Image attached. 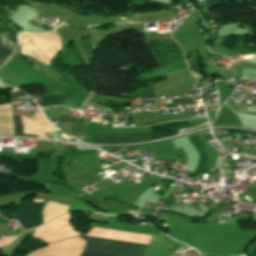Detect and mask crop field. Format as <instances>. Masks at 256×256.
Masks as SVG:
<instances>
[{"instance_id": "f4fd0767", "label": "crop field", "mask_w": 256, "mask_h": 256, "mask_svg": "<svg viewBox=\"0 0 256 256\" xmlns=\"http://www.w3.org/2000/svg\"><path fill=\"white\" fill-rule=\"evenodd\" d=\"M181 127H191L188 120L165 123L156 126H150V130L155 139L170 136L176 133V130Z\"/></svg>"}, {"instance_id": "5a996713", "label": "crop field", "mask_w": 256, "mask_h": 256, "mask_svg": "<svg viewBox=\"0 0 256 256\" xmlns=\"http://www.w3.org/2000/svg\"><path fill=\"white\" fill-rule=\"evenodd\" d=\"M66 96L63 95H51L42 96L43 102H37L41 107L52 106V105H62Z\"/></svg>"}, {"instance_id": "ac0d7876", "label": "crop field", "mask_w": 256, "mask_h": 256, "mask_svg": "<svg viewBox=\"0 0 256 256\" xmlns=\"http://www.w3.org/2000/svg\"><path fill=\"white\" fill-rule=\"evenodd\" d=\"M33 202L34 203L16 205L18 211H0V215L9 220L17 219V221L23 226L24 230L37 227L41 224L40 211L44 202Z\"/></svg>"}, {"instance_id": "d8731c3e", "label": "crop field", "mask_w": 256, "mask_h": 256, "mask_svg": "<svg viewBox=\"0 0 256 256\" xmlns=\"http://www.w3.org/2000/svg\"><path fill=\"white\" fill-rule=\"evenodd\" d=\"M81 256H118V255L108 252L106 249H104L103 247L97 244L87 242L85 250Z\"/></svg>"}, {"instance_id": "22f410ed", "label": "crop field", "mask_w": 256, "mask_h": 256, "mask_svg": "<svg viewBox=\"0 0 256 256\" xmlns=\"http://www.w3.org/2000/svg\"><path fill=\"white\" fill-rule=\"evenodd\" d=\"M7 222L9 221L0 216V223H7Z\"/></svg>"}, {"instance_id": "8a807250", "label": "crop field", "mask_w": 256, "mask_h": 256, "mask_svg": "<svg viewBox=\"0 0 256 256\" xmlns=\"http://www.w3.org/2000/svg\"><path fill=\"white\" fill-rule=\"evenodd\" d=\"M146 44L161 67L184 59L182 50L177 45L176 41L147 40ZM187 67L185 60H182L149 73L137 75L138 77L134 78V80L144 81Z\"/></svg>"}, {"instance_id": "cbeb9de0", "label": "crop field", "mask_w": 256, "mask_h": 256, "mask_svg": "<svg viewBox=\"0 0 256 256\" xmlns=\"http://www.w3.org/2000/svg\"><path fill=\"white\" fill-rule=\"evenodd\" d=\"M90 102H94V103H97V104H102V105H106L105 103H101V102H97V101H93L91 99H89Z\"/></svg>"}, {"instance_id": "34b2d1b8", "label": "crop field", "mask_w": 256, "mask_h": 256, "mask_svg": "<svg viewBox=\"0 0 256 256\" xmlns=\"http://www.w3.org/2000/svg\"><path fill=\"white\" fill-rule=\"evenodd\" d=\"M81 237L89 241L95 242L97 244H100L109 251H112L122 256H144L148 246L144 244L125 242L113 239L88 237L83 235H81Z\"/></svg>"}, {"instance_id": "412701ff", "label": "crop field", "mask_w": 256, "mask_h": 256, "mask_svg": "<svg viewBox=\"0 0 256 256\" xmlns=\"http://www.w3.org/2000/svg\"><path fill=\"white\" fill-rule=\"evenodd\" d=\"M153 140L150 131L124 132V133H99L96 132L93 143L120 144Z\"/></svg>"}, {"instance_id": "e52e79f7", "label": "crop field", "mask_w": 256, "mask_h": 256, "mask_svg": "<svg viewBox=\"0 0 256 256\" xmlns=\"http://www.w3.org/2000/svg\"><path fill=\"white\" fill-rule=\"evenodd\" d=\"M14 48L7 33L0 35V66L8 61Z\"/></svg>"}, {"instance_id": "3316defc", "label": "crop field", "mask_w": 256, "mask_h": 256, "mask_svg": "<svg viewBox=\"0 0 256 256\" xmlns=\"http://www.w3.org/2000/svg\"><path fill=\"white\" fill-rule=\"evenodd\" d=\"M15 120V135H20V136H35V135H28V134H23V125L20 120L19 116H14ZM37 137V136H35Z\"/></svg>"}, {"instance_id": "28ad6ade", "label": "crop field", "mask_w": 256, "mask_h": 256, "mask_svg": "<svg viewBox=\"0 0 256 256\" xmlns=\"http://www.w3.org/2000/svg\"><path fill=\"white\" fill-rule=\"evenodd\" d=\"M12 91H18V90H17V89H13V90H10L9 92H12ZM10 95H11V99L26 96V95H25V94H23L21 91H18V92H12V93H10Z\"/></svg>"}, {"instance_id": "d1516ede", "label": "crop field", "mask_w": 256, "mask_h": 256, "mask_svg": "<svg viewBox=\"0 0 256 256\" xmlns=\"http://www.w3.org/2000/svg\"><path fill=\"white\" fill-rule=\"evenodd\" d=\"M53 151L54 150H52V151H45V152H39V153H37V158H50V156H51Z\"/></svg>"}, {"instance_id": "dd49c442", "label": "crop field", "mask_w": 256, "mask_h": 256, "mask_svg": "<svg viewBox=\"0 0 256 256\" xmlns=\"http://www.w3.org/2000/svg\"><path fill=\"white\" fill-rule=\"evenodd\" d=\"M188 139L191 141V143L194 145L196 150L200 154V161L196 169V173H203L204 169L208 163V153L207 150L204 148V146L201 144L199 139L196 137V135L189 136Z\"/></svg>"}]
</instances>
